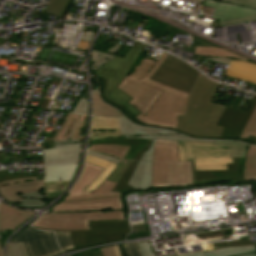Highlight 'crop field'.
I'll list each match as a JSON object with an SVG mask.
<instances>
[{
    "label": "crop field",
    "mask_w": 256,
    "mask_h": 256,
    "mask_svg": "<svg viewBox=\"0 0 256 256\" xmlns=\"http://www.w3.org/2000/svg\"><path fill=\"white\" fill-rule=\"evenodd\" d=\"M23 242L28 256H55L60 254L52 232L33 229L30 225L9 243Z\"/></svg>",
    "instance_id": "8"
},
{
    "label": "crop field",
    "mask_w": 256,
    "mask_h": 256,
    "mask_svg": "<svg viewBox=\"0 0 256 256\" xmlns=\"http://www.w3.org/2000/svg\"><path fill=\"white\" fill-rule=\"evenodd\" d=\"M0 256H4V255H3V251H2V249H1V245H0Z\"/></svg>",
    "instance_id": "57"
},
{
    "label": "crop field",
    "mask_w": 256,
    "mask_h": 256,
    "mask_svg": "<svg viewBox=\"0 0 256 256\" xmlns=\"http://www.w3.org/2000/svg\"><path fill=\"white\" fill-rule=\"evenodd\" d=\"M215 145L232 147L229 157H239V158H244L246 148L248 146L246 144H242L239 142H224V141H216Z\"/></svg>",
    "instance_id": "37"
},
{
    "label": "crop field",
    "mask_w": 256,
    "mask_h": 256,
    "mask_svg": "<svg viewBox=\"0 0 256 256\" xmlns=\"http://www.w3.org/2000/svg\"><path fill=\"white\" fill-rule=\"evenodd\" d=\"M115 56H112L107 53L93 51L91 56V72H95L97 69L102 67L105 63L113 59Z\"/></svg>",
    "instance_id": "36"
},
{
    "label": "crop field",
    "mask_w": 256,
    "mask_h": 256,
    "mask_svg": "<svg viewBox=\"0 0 256 256\" xmlns=\"http://www.w3.org/2000/svg\"><path fill=\"white\" fill-rule=\"evenodd\" d=\"M195 55L215 56V57H231L232 59L248 61V59H246L244 57H241V56L234 54L230 51H227L223 48H217V47H196Z\"/></svg>",
    "instance_id": "28"
},
{
    "label": "crop field",
    "mask_w": 256,
    "mask_h": 256,
    "mask_svg": "<svg viewBox=\"0 0 256 256\" xmlns=\"http://www.w3.org/2000/svg\"><path fill=\"white\" fill-rule=\"evenodd\" d=\"M103 170L104 168L87 162L79 181L71 189L70 194H67L66 196L91 194V192L83 191L99 176Z\"/></svg>",
    "instance_id": "21"
},
{
    "label": "crop field",
    "mask_w": 256,
    "mask_h": 256,
    "mask_svg": "<svg viewBox=\"0 0 256 256\" xmlns=\"http://www.w3.org/2000/svg\"><path fill=\"white\" fill-rule=\"evenodd\" d=\"M82 256H91L89 252L83 253Z\"/></svg>",
    "instance_id": "56"
},
{
    "label": "crop field",
    "mask_w": 256,
    "mask_h": 256,
    "mask_svg": "<svg viewBox=\"0 0 256 256\" xmlns=\"http://www.w3.org/2000/svg\"><path fill=\"white\" fill-rule=\"evenodd\" d=\"M56 147L59 146H65V145H73L78 144L77 141L71 140V141H63V142H54Z\"/></svg>",
    "instance_id": "49"
},
{
    "label": "crop field",
    "mask_w": 256,
    "mask_h": 256,
    "mask_svg": "<svg viewBox=\"0 0 256 256\" xmlns=\"http://www.w3.org/2000/svg\"><path fill=\"white\" fill-rule=\"evenodd\" d=\"M181 161L199 157H228L231 148L214 146V143L178 141Z\"/></svg>",
    "instance_id": "14"
},
{
    "label": "crop field",
    "mask_w": 256,
    "mask_h": 256,
    "mask_svg": "<svg viewBox=\"0 0 256 256\" xmlns=\"http://www.w3.org/2000/svg\"><path fill=\"white\" fill-rule=\"evenodd\" d=\"M145 47L146 45L136 41L124 59L116 57L95 72L104 82V89L102 92L104 93L106 100L121 108L126 106L135 116L140 114V112L134 106L127 103L132 98L115 87L128 74V71L132 68Z\"/></svg>",
    "instance_id": "3"
},
{
    "label": "crop field",
    "mask_w": 256,
    "mask_h": 256,
    "mask_svg": "<svg viewBox=\"0 0 256 256\" xmlns=\"http://www.w3.org/2000/svg\"><path fill=\"white\" fill-rule=\"evenodd\" d=\"M9 256H27L22 243L8 245Z\"/></svg>",
    "instance_id": "41"
},
{
    "label": "crop field",
    "mask_w": 256,
    "mask_h": 256,
    "mask_svg": "<svg viewBox=\"0 0 256 256\" xmlns=\"http://www.w3.org/2000/svg\"><path fill=\"white\" fill-rule=\"evenodd\" d=\"M93 114L107 117H118L117 110L103 103L98 94V90L93 92Z\"/></svg>",
    "instance_id": "30"
},
{
    "label": "crop field",
    "mask_w": 256,
    "mask_h": 256,
    "mask_svg": "<svg viewBox=\"0 0 256 256\" xmlns=\"http://www.w3.org/2000/svg\"><path fill=\"white\" fill-rule=\"evenodd\" d=\"M170 187L192 186L191 163L169 162Z\"/></svg>",
    "instance_id": "19"
},
{
    "label": "crop field",
    "mask_w": 256,
    "mask_h": 256,
    "mask_svg": "<svg viewBox=\"0 0 256 256\" xmlns=\"http://www.w3.org/2000/svg\"><path fill=\"white\" fill-rule=\"evenodd\" d=\"M152 161H140L129 185L136 186L137 190L151 187Z\"/></svg>",
    "instance_id": "22"
},
{
    "label": "crop field",
    "mask_w": 256,
    "mask_h": 256,
    "mask_svg": "<svg viewBox=\"0 0 256 256\" xmlns=\"http://www.w3.org/2000/svg\"><path fill=\"white\" fill-rule=\"evenodd\" d=\"M249 135L256 137V108L244 128L240 138H249Z\"/></svg>",
    "instance_id": "39"
},
{
    "label": "crop field",
    "mask_w": 256,
    "mask_h": 256,
    "mask_svg": "<svg viewBox=\"0 0 256 256\" xmlns=\"http://www.w3.org/2000/svg\"><path fill=\"white\" fill-rule=\"evenodd\" d=\"M87 107H88V102L81 98L72 112L87 115Z\"/></svg>",
    "instance_id": "44"
},
{
    "label": "crop field",
    "mask_w": 256,
    "mask_h": 256,
    "mask_svg": "<svg viewBox=\"0 0 256 256\" xmlns=\"http://www.w3.org/2000/svg\"><path fill=\"white\" fill-rule=\"evenodd\" d=\"M255 106L256 100H253L248 112L226 107L217 123L225 127L221 138L238 139Z\"/></svg>",
    "instance_id": "12"
},
{
    "label": "crop field",
    "mask_w": 256,
    "mask_h": 256,
    "mask_svg": "<svg viewBox=\"0 0 256 256\" xmlns=\"http://www.w3.org/2000/svg\"><path fill=\"white\" fill-rule=\"evenodd\" d=\"M80 117V115L68 114L53 141L68 140Z\"/></svg>",
    "instance_id": "29"
},
{
    "label": "crop field",
    "mask_w": 256,
    "mask_h": 256,
    "mask_svg": "<svg viewBox=\"0 0 256 256\" xmlns=\"http://www.w3.org/2000/svg\"><path fill=\"white\" fill-rule=\"evenodd\" d=\"M116 184L104 181L91 195L64 197L32 226L55 230L89 229L88 221L125 220L122 192H110Z\"/></svg>",
    "instance_id": "1"
},
{
    "label": "crop field",
    "mask_w": 256,
    "mask_h": 256,
    "mask_svg": "<svg viewBox=\"0 0 256 256\" xmlns=\"http://www.w3.org/2000/svg\"><path fill=\"white\" fill-rule=\"evenodd\" d=\"M138 161H133L129 168L126 170L124 175L118 181L116 187L112 191H123L124 193L129 190H136L135 187L128 186L127 183L137 165Z\"/></svg>",
    "instance_id": "35"
},
{
    "label": "crop field",
    "mask_w": 256,
    "mask_h": 256,
    "mask_svg": "<svg viewBox=\"0 0 256 256\" xmlns=\"http://www.w3.org/2000/svg\"><path fill=\"white\" fill-rule=\"evenodd\" d=\"M149 243H138L142 256H154ZM184 256H256V249H254V246L226 248L217 251L202 252Z\"/></svg>",
    "instance_id": "17"
},
{
    "label": "crop field",
    "mask_w": 256,
    "mask_h": 256,
    "mask_svg": "<svg viewBox=\"0 0 256 256\" xmlns=\"http://www.w3.org/2000/svg\"><path fill=\"white\" fill-rule=\"evenodd\" d=\"M49 102H50L49 99H45V98H44L39 108L46 109L47 106H48V104H49Z\"/></svg>",
    "instance_id": "51"
},
{
    "label": "crop field",
    "mask_w": 256,
    "mask_h": 256,
    "mask_svg": "<svg viewBox=\"0 0 256 256\" xmlns=\"http://www.w3.org/2000/svg\"><path fill=\"white\" fill-rule=\"evenodd\" d=\"M87 154L105 159V160L110 161V162L114 161L116 163H119L121 161V159L113 158V157L108 156L106 154H100V153H97V152L89 151V152H87Z\"/></svg>",
    "instance_id": "45"
},
{
    "label": "crop field",
    "mask_w": 256,
    "mask_h": 256,
    "mask_svg": "<svg viewBox=\"0 0 256 256\" xmlns=\"http://www.w3.org/2000/svg\"><path fill=\"white\" fill-rule=\"evenodd\" d=\"M119 120H120V126H121V134L123 138H144V139H155V140H193L191 138L181 136L174 132L144 128V127L133 125L132 123L127 121L121 113H119ZM196 141H206V140H196ZM208 142H214V141H208Z\"/></svg>",
    "instance_id": "13"
},
{
    "label": "crop field",
    "mask_w": 256,
    "mask_h": 256,
    "mask_svg": "<svg viewBox=\"0 0 256 256\" xmlns=\"http://www.w3.org/2000/svg\"><path fill=\"white\" fill-rule=\"evenodd\" d=\"M127 256H141L138 244L123 245Z\"/></svg>",
    "instance_id": "43"
},
{
    "label": "crop field",
    "mask_w": 256,
    "mask_h": 256,
    "mask_svg": "<svg viewBox=\"0 0 256 256\" xmlns=\"http://www.w3.org/2000/svg\"><path fill=\"white\" fill-rule=\"evenodd\" d=\"M226 76L256 84V64L232 60Z\"/></svg>",
    "instance_id": "20"
},
{
    "label": "crop field",
    "mask_w": 256,
    "mask_h": 256,
    "mask_svg": "<svg viewBox=\"0 0 256 256\" xmlns=\"http://www.w3.org/2000/svg\"><path fill=\"white\" fill-rule=\"evenodd\" d=\"M123 110L125 111V113H126L130 118H132V119L138 121V119H137L136 117H134V116L132 115V113H131L126 107H125ZM138 122H139V121H138Z\"/></svg>",
    "instance_id": "52"
},
{
    "label": "crop field",
    "mask_w": 256,
    "mask_h": 256,
    "mask_svg": "<svg viewBox=\"0 0 256 256\" xmlns=\"http://www.w3.org/2000/svg\"><path fill=\"white\" fill-rule=\"evenodd\" d=\"M78 150V145L43 150L44 165L74 163Z\"/></svg>",
    "instance_id": "18"
},
{
    "label": "crop field",
    "mask_w": 256,
    "mask_h": 256,
    "mask_svg": "<svg viewBox=\"0 0 256 256\" xmlns=\"http://www.w3.org/2000/svg\"><path fill=\"white\" fill-rule=\"evenodd\" d=\"M131 162L132 161H129V160H122L120 164L117 166V168L114 170V172L106 180L117 183V181L120 179L122 174L131 164Z\"/></svg>",
    "instance_id": "38"
},
{
    "label": "crop field",
    "mask_w": 256,
    "mask_h": 256,
    "mask_svg": "<svg viewBox=\"0 0 256 256\" xmlns=\"http://www.w3.org/2000/svg\"><path fill=\"white\" fill-rule=\"evenodd\" d=\"M147 140L113 138L89 142L88 150L99 151L112 156L134 159Z\"/></svg>",
    "instance_id": "9"
},
{
    "label": "crop field",
    "mask_w": 256,
    "mask_h": 256,
    "mask_svg": "<svg viewBox=\"0 0 256 256\" xmlns=\"http://www.w3.org/2000/svg\"><path fill=\"white\" fill-rule=\"evenodd\" d=\"M143 83L164 91L148 113L139 115L141 123L176 130L177 115H184L188 93L162 85L147 78Z\"/></svg>",
    "instance_id": "4"
},
{
    "label": "crop field",
    "mask_w": 256,
    "mask_h": 256,
    "mask_svg": "<svg viewBox=\"0 0 256 256\" xmlns=\"http://www.w3.org/2000/svg\"><path fill=\"white\" fill-rule=\"evenodd\" d=\"M244 172H246L247 180L256 179V146H248L247 148Z\"/></svg>",
    "instance_id": "31"
},
{
    "label": "crop field",
    "mask_w": 256,
    "mask_h": 256,
    "mask_svg": "<svg viewBox=\"0 0 256 256\" xmlns=\"http://www.w3.org/2000/svg\"><path fill=\"white\" fill-rule=\"evenodd\" d=\"M243 165L244 159L234 158V164H227L228 170L195 171L194 162H192L193 186L230 180L232 184L246 181Z\"/></svg>",
    "instance_id": "10"
},
{
    "label": "crop field",
    "mask_w": 256,
    "mask_h": 256,
    "mask_svg": "<svg viewBox=\"0 0 256 256\" xmlns=\"http://www.w3.org/2000/svg\"><path fill=\"white\" fill-rule=\"evenodd\" d=\"M168 54L161 55L158 61L143 59L130 77H125L117 88L132 97L133 104L142 114H146L162 91L141 83L145 77L151 79L158 67L166 60Z\"/></svg>",
    "instance_id": "5"
},
{
    "label": "crop field",
    "mask_w": 256,
    "mask_h": 256,
    "mask_svg": "<svg viewBox=\"0 0 256 256\" xmlns=\"http://www.w3.org/2000/svg\"><path fill=\"white\" fill-rule=\"evenodd\" d=\"M256 9V0H218Z\"/></svg>",
    "instance_id": "42"
},
{
    "label": "crop field",
    "mask_w": 256,
    "mask_h": 256,
    "mask_svg": "<svg viewBox=\"0 0 256 256\" xmlns=\"http://www.w3.org/2000/svg\"><path fill=\"white\" fill-rule=\"evenodd\" d=\"M78 164L67 166L44 167V182L71 181ZM62 178V180H60Z\"/></svg>",
    "instance_id": "23"
},
{
    "label": "crop field",
    "mask_w": 256,
    "mask_h": 256,
    "mask_svg": "<svg viewBox=\"0 0 256 256\" xmlns=\"http://www.w3.org/2000/svg\"><path fill=\"white\" fill-rule=\"evenodd\" d=\"M153 140H148V142L146 143V145L144 146V148L141 150V152L136 156L135 159H140L142 154L147 152L148 148L150 147L151 143Z\"/></svg>",
    "instance_id": "48"
},
{
    "label": "crop field",
    "mask_w": 256,
    "mask_h": 256,
    "mask_svg": "<svg viewBox=\"0 0 256 256\" xmlns=\"http://www.w3.org/2000/svg\"><path fill=\"white\" fill-rule=\"evenodd\" d=\"M86 161L91 162L93 164L99 165L101 167L106 168L101 175L85 190V191H93L96 187H98L116 168L117 164L115 163H110L107 161H104L102 159L88 156Z\"/></svg>",
    "instance_id": "25"
},
{
    "label": "crop field",
    "mask_w": 256,
    "mask_h": 256,
    "mask_svg": "<svg viewBox=\"0 0 256 256\" xmlns=\"http://www.w3.org/2000/svg\"><path fill=\"white\" fill-rule=\"evenodd\" d=\"M116 256H122L118 246L114 247Z\"/></svg>",
    "instance_id": "54"
},
{
    "label": "crop field",
    "mask_w": 256,
    "mask_h": 256,
    "mask_svg": "<svg viewBox=\"0 0 256 256\" xmlns=\"http://www.w3.org/2000/svg\"><path fill=\"white\" fill-rule=\"evenodd\" d=\"M198 73L183 61L169 55L152 80L189 93Z\"/></svg>",
    "instance_id": "7"
},
{
    "label": "crop field",
    "mask_w": 256,
    "mask_h": 256,
    "mask_svg": "<svg viewBox=\"0 0 256 256\" xmlns=\"http://www.w3.org/2000/svg\"><path fill=\"white\" fill-rule=\"evenodd\" d=\"M178 145L156 144L153 159L180 161Z\"/></svg>",
    "instance_id": "27"
},
{
    "label": "crop field",
    "mask_w": 256,
    "mask_h": 256,
    "mask_svg": "<svg viewBox=\"0 0 256 256\" xmlns=\"http://www.w3.org/2000/svg\"><path fill=\"white\" fill-rule=\"evenodd\" d=\"M152 186L169 187L168 162L153 161Z\"/></svg>",
    "instance_id": "24"
},
{
    "label": "crop field",
    "mask_w": 256,
    "mask_h": 256,
    "mask_svg": "<svg viewBox=\"0 0 256 256\" xmlns=\"http://www.w3.org/2000/svg\"><path fill=\"white\" fill-rule=\"evenodd\" d=\"M7 175H8L7 170L0 171V177H2V176H7Z\"/></svg>",
    "instance_id": "55"
},
{
    "label": "crop field",
    "mask_w": 256,
    "mask_h": 256,
    "mask_svg": "<svg viewBox=\"0 0 256 256\" xmlns=\"http://www.w3.org/2000/svg\"><path fill=\"white\" fill-rule=\"evenodd\" d=\"M35 212L14 209L0 201V230H16Z\"/></svg>",
    "instance_id": "16"
},
{
    "label": "crop field",
    "mask_w": 256,
    "mask_h": 256,
    "mask_svg": "<svg viewBox=\"0 0 256 256\" xmlns=\"http://www.w3.org/2000/svg\"><path fill=\"white\" fill-rule=\"evenodd\" d=\"M70 2L71 0H51L43 13L63 17Z\"/></svg>",
    "instance_id": "33"
},
{
    "label": "crop field",
    "mask_w": 256,
    "mask_h": 256,
    "mask_svg": "<svg viewBox=\"0 0 256 256\" xmlns=\"http://www.w3.org/2000/svg\"><path fill=\"white\" fill-rule=\"evenodd\" d=\"M156 143L178 144L177 141H156Z\"/></svg>",
    "instance_id": "53"
},
{
    "label": "crop field",
    "mask_w": 256,
    "mask_h": 256,
    "mask_svg": "<svg viewBox=\"0 0 256 256\" xmlns=\"http://www.w3.org/2000/svg\"><path fill=\"white\" fill-rule=\"evenodd\" d=\"M1 75V74H0Z\"/></svg>",
    "instance_id": "58"
},
{
    "label": "crop field",
    "mask_w": 256,
    "mask_h": 256,
    "mask_svg": "<svg viewBox=\"0 0 256 256\" xmlns=\"http://www.w3.org/2000/svg\"><path fill=\"white\" fill-rule=\"evenodd\" d=\"M196 170L227 169L226 163H233V158L194 159Z\"/></svg>",
    "instance_id": "26"
},
{
    "label": "crop field",
    "mask_w": 256,
    "mask_h": 256,
    "mask_svg": "<svg viewBox=\"0 0 256 256\" xmlns=\"http://www.w3.org/2000/svg\"><path fill=\"white\" fill-rule=\"evenodd\" d=\"M155 141H153L151 147L149 148L148 152L145 153L142 157V159H152V153L154 149Z\"/></svg>",
    "instance_id": "47"
},
{
    "label": "crop field",
    "mask_w": 256,
    "mask_h": 256,
    "mask_svg": "<svg viewBox=\"0 0 256 256\" xmlns=\"http://www.w3.org/2000/svg\"><path fill=\"white\" fill-rule=\"evenodd\" d=\"M102 256H115L114 250L112 247L109 248H103V249H99Z\"/></svg>",
    "instance_id": "46"
},
{
    "label": "crop field",
    "mask_w": 256,
    "mask_h": 256,
    "mask_svg": "<svg viewBox=\"0 0 256 256\" xmlns=\"http://www.w3.org/2000/svg\"><path fill=\"white\" fill-rule=\"evenodd\" d=\"M217 87L218 84L199 74L190 92L185 116H178V131L194 137H221L224 128L215 125L225 106L210 102Z\"/></svg>",
    "instance_id": "2"
},
{
    "label": "crop field",
    "mask_w": 256,
    "mask_h": 256,
    "mask_svg": "<svg viewBox=\"0 0 256 256\" xmlns=\"http://www.w3.org/2000/svg\"><path fill=\"white\" fill-rule=\"evenodd\" d=\"M27 177H36V176H27ZM15 178H25V177H21V175L2 177L0 178V182L8 179H15Z\"/></svg>",
    "instance_id": "50"
},
{
    "label": "crop field",
    "mask_w": 256,
    "mask_h": 256,
    "mask_svg": "<svg viewBox=\"0 0 256 256\" xmlns=\"http://www.w3.org/2000/svg\"><path fill=\"white\" fill-rule=\"evenodd\" d=\"M89 223L90 230L62 231L70 232L74 249L80 247H88L95 244L107 243L111 241L125 240L124 236L128 232H130L127 221H104Z\"/></svg>",
    "instance_id": "6"
},
{
    "label": "crop field",
    "mask_w": 256,
    "mask_h": 256,
    "mask_svg": "<svg viewBox=\"0 0 256 256\" xmlns=\"http://www.w3.org/2000/svg\"><path fill=\"white\" fill-rule=\"evenodd\" d=\"M91 129H120L118 118L93 116Z\"/></svg>",
    "instance_id": "34"
},
{
    "label": "crop field",
    "mask_w": 256,
    "mask_h": 256,
    "mask_svg": "<svg viewBox=\"0 0 256 256\" xmlns=\"http://www.w3.org/2000/svg\"><path fill=\"white\" fill-rule=\"evenodd\" d=\"M203 5L216 9L213 18L220 19L221 25L243 21L247 23L256 20V10L254 9L213 0H206Z\"/></svg>",
    "instance_id": "11"
},
{
    "label": "crop field",
    "mask_w": 256,
    "mask_h": 256,
    "mask_svg": "<svg viewBox=\"0 0 256 256\" xmlns=\"http://www.w3.org/2000/svg\"><path fill=\"white\" fill-rule=\"evenodd\" d=\"M55 234H56L57 242L62 252L73 249L69 233L55 232Z\"/></svg>",
    "instance_id": "40"
},
{
    "label": "crop field",
    "mask_w": 256,
    "mask_h": 256,
    "mask_svg": "<svg viewBox=\"0 0 256 256\" xmlns=\"http://www.w3.org/2000/svg\"><path fill=\"white\" fill-rule=\"evenodd\" d=\"M43 192V180L25 178L0 183V195L9 202H22L21 193Z\"/></svg>",
    "instance_id": "15"
},
{
    "label": "crop field",
    "mask_w": 256,
    "mask_h": 256,
    "mask_svg": "<svg viewBox=\"0 0 256 256\" xmlns=\"http://www.w3.org/2000/svg\"><path fill=\"white\" fill-rule=\"evenodd\" d=\"M23 203L15 204L25 208H38L45 206L50 201H43V193L22 194Z\"/></svg>",
    "instance_id": "32"
}]
</instances>
